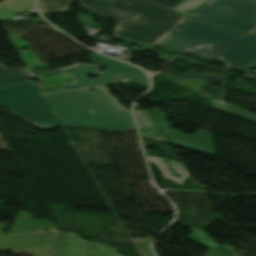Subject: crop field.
<instances>
[{
  "label": "crop field",
  "instance_id": "1",
  "mask_svg": "<svg viewBox=\"0 0 256 256\" xmlns=\"http://www.w3.org/2000/svg\"><path fill=\"white\" fill-rule=\"evenodd\" d=\"M73 0H38L43 15L67 11ZM99 16L120 21L112 35L156 46L187 18L161 5L144 0H77Z\"/></svg>",
  "mask_w": 256,
  "mask_h": 256
},
{
  "label": "crop field",
  "instance_id": "2",
  "mask_svg": "<svg viewBox=\"0 0 256 256\" xmlns=\"http://www.w3.org/2000/svg\"><path fill=\"white\" fill-rule=\"evenodd\" d=\"M169 51L186 50L222 60L228 68L248 70L256 63V37L188 18L161 43Z\"/></svg>",
  "mask_w": 256,
  "mask_h": 256
},
{
  "label": "crop field",
  "instance_id": "3",
  "mask_svg": "<svg viewBox=\"0 0 256 256\" xmlns=\"http://www.w3.org/2000/svg\"><path fill=\"white\" fill-rule=\"evenodd\" d=\"M45 97L63 125L135 130L130 111L110 95L107 87L98 88L95 92L85 89L50 93Z\"/></svg>",
  "mask_w": 256,
  "mask_h": 256
},
{
  "label": "crop field",
  "instance_id": "4",
  "mask_svg": "<svg viewBox=\"0 0 256 256\" xmlns=\"http://www.w3.org/2000/svg\"><path fill=\"white\" fill-rule=\"evenodd\" d=\"M0 105L36 127L62 125L34 80L0 89Z\"/></svg>",
  "mask_w": 256,
  "mask_h": 256
},
{
  "label": "crop field",
  "instance_id": "5",
  "mask_svg": "<svg viewBox=\"0 0 256 256\" xmlns=\"http://www.w3.org/2000/svg\"><path fill=\"white\" fill-rule=\"evenodd\" d=\"M193 17L252 33L256 0H210Z\"/></svg>",
  "mask_w": 256,
  "mask_h": 256
},
{
  "label": "crop field",
  "instance_id": "6",
  "mask_svg": "<svg viewBox=\"0 0 256 256\" xmlns=\"http://www.w3.org/2000/svg\"><path fill=\"white\" fill-rule=\"evenodd\" d=\"M159 111L152 110L146 113L169 143L214 155L210 132L196 130L194 135H187L170 130L169 123L165 121V114Z\"/></svg>",
  "mask_w": 256,
  "mask_h": 256
},
{
  "label": "crop field",
  "instance_id": "7",
  "mask_svg": "<svg viewBox=\"0 0 256 256\" xmlns=\"http://www.w3.org/2000/svg\"><path fill=\"white\" fill-rule=\"evenodd\" d=\"M3 227L0 223V248L36 251V256L55 255L59 232L6 236L1 232Z\"/></svg>",
  "mask_w": 256,
  "mask_h": 256
},
{
  "label": "crop field",
  "instance_id": "8",
  "mask_svg": "<svg viewBox=\"0 0 256 256\" xmlns=\"http://www.w3.org/2000/svg\"><path fill=\"white\" fill-rule=\"evenodd\" d=\"M57 256H122L116 248L88 242L76 233H62Z\"/></svg>",
  "mask_w": 256,
  "mask_h": 256
},
{
  "label": "crop field",
  "instance_id": "9",
  "mask_svg": "<svg viewBox=\"0 0 256 256\" xmlns=\"http://www.w3.org/2000/svg\"><path fill=\"white\" fill-rule=\"evenodd\" d=\"M63 73L73 77L75 81L73 85H64L65 89L92 86V85H101V84H119V79L114 78L115 74H120L122 77L130 78L135 81L149 85L148 80L132 77L129 75H124L121 72H117L109 69L100 73L97 67H94V66H81L72 70L63 71ZM91 73L98 74L100 76L94 80L88 79L86 76Z\"/></svg>",
  "mask_w": 256,
  "mask_h": 256
},
{
  "label": "crop field",
  "instance_id": "10",
  "mask_svg": "<svg viewBox=\"0 0 256 256\" xmlns=\"http://www.w3.org/2000/svg\"><path fill=\"white\" fill-rule=\"evenodd\" d=\"M172 77H179V78H193V79H204L205 81V88L204 91L209 94L215 95V99L213 100L211 106L219 108L221 110L242 116L244 118L253 120L256 122V115L241 109L239 107L229 105L223 102L225 98V86L226 83L223 84V87L219 88H212L210 86V80L214 81H222V82H227L228 78L224 77H215V76H207V75H199V74H182V75H175Z\"/></svg>",
  "mask_w": 256,
  "mask_h": 256
},
{
  "label": "crop field",
  "instance_id": "11",
  "mask_svg": "<svg viewBox=\"0 0 256 256\" xmlns=\"http://www.w3.org/2000/svg\"><path fill=\"white\" fill-rule=\"evenodd\" d=\"M148 158L151 163L159 167L167 179H173L181 185H185L183 181L191 176L185 167L178 162L154 156H149Z\"/></svg>",
  "mask_w": 256,
  "mask_h": 256
},
{
  "label": "crop field",
  "instance_id": "12",
  "mask_svg": "<svg viewBox=\"0 0 256 256\" xmlns=\"http://www.w3.org/2000/svg\"><path fill=\"white\" fill-rule=\"evenodd\" d=\"M33 215L29 212L19 211L10 234L26 233L57 228L48 220L32 221Z\"/></svg>",
  "mask_w": 256,
  "mask_h": 256
},
{
  "label": "crop field",
  "instance_id": "13",
  "mask_svg": "<svg viewBox=\"0 0 256 256\" xmlns=\"http://www.w3.org/2000/svg\"><path fill=\"white\" fill-rule=\"evenodd\" d=\"M89 57L92 60V62L100 64L106 68L121 71L124 74H130L132 76L149 80L148 76L145 73H143L141 69L137 67L124 64L122 62L116 61L114 59H111L96 53L90 55Z\"/></svg>",
  "mask_w": 256,
  "mask_h": 256
},
{
  "label": "crop field",
  "instance_id": "14",
  "mask_svg": "<svg viewBox=\"0 0 256 256\" xmlns=\"http://www.w3.org/2000/svg\"><path fill=\"white\" fill-rule=\"evenodd\" d=\"M33 0H5L0 3V20L12 19L18 13L34 11Z\"/></svg>",
  "mask_w": 256,
  "mask_h": 256
},
{
  "label": "crop field",
  "instance_id": "15",
  "mask_svg": "<svg viewBox=\"0 0 256 256\" xmlns=\"http://www.w3.org/2000/svg\"><path fill=\"white\" fill-rule=\"evenodd\" d=\"M32 79L33 77L27 67L8 68L0 65V87H6Z\"/></svg>",
  "mask_w": 256,
  "mask_h": 256
},
{
  "label": "crop field",
  "instance_id": "16",
  "mask_svg": "<svg viewBox=\"0 0 256 256\" xmlns=\"http://www.w3.org/2000/svg\"><path fill=\"white\" fill-rule=\"evenodd\" d=\"M190 239L195 241L196 243L202 244L206 247L218 249L221 246L220 243L208 237L207 232L202 230L201 228H196L191 234L188 235Z\"/></svg>",
  "mask_w": 256,
  "mask_h": 256
},
{
  "label": "crop field",
  "instance_id": "17",
  "mask_svg": "<svg viewBox=\"0 0 256 256\" xmlns=\"http://www.w3.org/2000/svg\"><path fill=\"white\" fill-rule=\"evenodd\" d=\"M208 0H183L174 9L190 16L196 12Z\"/></svg>",
  "mask_w": 256,
  "mask_h": 256
},
{
  "label": "crop field",
  "instance_id": "18",
  "mask_svg": "<svg viewBox=\"0 0 256 256\" xmlns=\"http://www.w3.org/2000/svg\"><path fill=\"white\" fill-rule=\"evenodd\" d=\"M140 130H141L142 136L166 142V140L163 138L160 132L155 128V126L143 128Z\"/></svg>",
  "mask_w": 256,
  "mask_h": 256
},
{
  "label": "crop field",
  "instance_id": "19",
  "mask_svg": "<svg viewBox=\"0 0 256 256\" xmlns=\"http://www.w3.org/2000/svg\"><path fill=\"white\" fill-rule=\"evenodd\" d=\"M135 113L138 120L139 128L152 126V123L149 121L143 111H135Z\"/></svg>",
  "mask_w": 256,
  "mask_h": 256
},
{
  "label": "crop field",
  "instance_id": "20",
  "mask_svg": "<svg viewBox=\"0 0 256 256\" xmlns=\"http://www.w3.org/2000/svg\"><path fill=\"white\" fill-rule=\"evenodd\" d=\"M77 17L81 24L87 25L88 27L99 25L90 15H77Z\"/></svg>",
  "mask_w": 256,
  "mask_h": 256
},
{
  "label": "crop field",
  "instance_id": "21",
  "mask_svg": "<svg viewBox=\"0 0 256 256\" xmlns=\"http://www.w3.org/2000/svg\"><path fill=\"white\" fill-rule=\"evenodd\" d=\"M169 8H174L181 0H152Z\"/></svg>",
  "mask_w": 256,
  "mask_h": 256
},
{
  "label": "crop field",
  "instance_id": "22",
  "mask_svg": "<svg viewBox=\"0 0 256 256\" xmlns=\"http://www.w3.org/2000/svg\"><path fill=\"white\" fill-rule=\"evenodd\" d=\"M115 77L119 78L120 81H122V80H128V79H125V78H121L120 75H115Z\"/></svg>",
  "mask_w": 256,
  "mask_h": 256
},
{
  "label": "crop field",
  "instance_id": "23",
  "mask_svg": "<svg viewBox=\"0 0 256 256\" xmlns=\"http://www.w3.org/2000/svg\"><path fill=\"white\" fill-rule=\"evenodd\" d=\"M145 70V69H144ZM148 72V71H147ZM149 74H150V76H152L153 75V73L152 72H148Z\"/></svg>",
  "mask_w": 256,
  "mask_h": 256
},
{
  "label": "crop field",
  "instance_id": "24",
  "mask_svg": "<svg viewBox=\"0 0 256 256\" xmlns=\"http://www.w3.org/2000/svg\"><path fill=\"white\" fill-rule=\"evenodd\" d=\"M253 69H256V64L252 67Z\"/></svg>",
  "mask_w": 256,
  "mask_h": 256
},
{
  "label": "crop field",
  "instance_id": "25",
  "mask_svg": "<svg viewBox=\"0 0 256 256\" xmlns=\"http://www.w3.org/2000/svg\"><path fill=\"white\" fill-rule=\"evenodd\" d=\"M254 35H256V32L254 33Z\"/></svg>",
  "mask_w": 256,
  "mask_h": 256
}]
</instances>
